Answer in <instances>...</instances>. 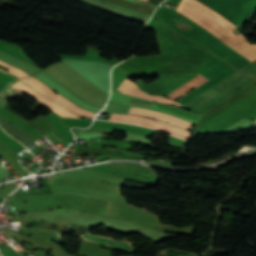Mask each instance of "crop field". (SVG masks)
Returning <instances> with one entry per match:
<instances>
[{"label": "crop field", "mask_w": 256, "mask_h": 256, "mask_svg": "<svg viewBox=\"0 0 256 256\" xmlns=\"http://www.w3.org/2000/svg\"><path fill=\"white\" fill-rule=\"evenodd\" d=\"M117 87H119V86H117ZM116 88H114L113 91L120 90V91H122V93L130 94V95H133V96H136L139 98H143V99H147V100H151V101H155V102H159V103H166V104H170V105H174V106H178V107L182 106L172 100L163 98L161 96H150V95L144 93L143 91L139 90L135 84H133L131 81H129L127 79L124 80V82L121 84V86L119 88H117V90H115ZM120 91H118V92H120Z\"/></svg>", "instance_id": "f4fd0767"}, {"label": "crop field", "mask_w": 256, "mask_h": 256, "mask_svg": "<svg viewBox=\"0 0 256 256\" xmlns=\"http://www.w3.org/2000/svg\"><path fill=\"white\" fill-rule=\"evenodd\" d=\"M66 62L84 74L98 86L109 92L110 69L112 68L111 65L98 62Z\"/></svg>", "instance_id": "ac0d7876"}, {"label": "crop field", "mask_w": 256, "mask_h": 256, "mask_svg": "<svg viewBox=\"0 0 256 256\" xmlns=\"http://www.w3.org/2000/svg\"><path fill=\"white\" fill-rule=\"evenodd\" d=\"M128 114H133V115H137V116H142V117H146V118L164 121V122L170 123L174 126H177L179 128L185 129V130H188L193 125V123L178 119L176 117H173V116H170V115H167L164 113L136 109L133 107H131Z\"/></svg>", "instance_id": "412701ff"}, {"label": "crop field", "mask_w": 256, "mask_h": 256, "mask_svg": "<svg viewBox=\"0 0 256 256\" xmlns=\"http://www.w3.org/2000/svg\"><path fill=\"white\" fill-rule=\"evenodd\" d=\"M107 121L126 122V123L146 126V127H150V128H153V129L168 132L173 136L184 138V139L188 138V136L183 135V134L178 133V132H175V131L170 130L168 128H171V129L177 130L179 132L190 135V132L185 131V130H181V129H179L177 127H174L170 124L163 123V122L156 121V120H150V119H146V118L131 116V115H122V114L112 113V117L110 119H108ZM166 127H168V128H166Z\"/></svg>", "instance_id": "34b2d1b8"}, {"label": "crop field", "mask_w": 256, "mask_h": 256, "mask_svg": "<svg viewBox=\"0 0 256 256\" xmlns=\"http://www.w3.org/2000/svg\"><path fill=\"white\" fill-rule=\"evenodd\" d=\"M87 146H90V145H87Z\"/></svg>", "instance_id": "e52e79f7"}, {"label": "crop field", "mask_w": 256, "mask_h": 256, "mask_svg": "<svg viewBox=\"0 0 256 256\" xmlns=\"http://www.w3.org/2000/svg\"><path fill=\"white\" fill-rule=\"evenodd\" d=\"M206 9L188 0H182L176 11L192 19L210 33H215L248 60L254 61L256 59V44L251 45L245 39L243 33H239L236 30L238 25Z\"/></svg>", "instance_id": "8a807250"}, {"label": "crop field", "mask_w": 256, "mask_h": 256, "mask_svg": "<svg viewBox=\"0 0 256 256\" xmlns=\"http://www.w3.org/2000/svg\"><path fill=\"white\" fill-rule=\"evenodd\" d=\"M206 81L208 80L205 79L203 76L198 75L193 79H191L190 81H188L187 83H185L183 86H181L177 90H175L174 92L168 94L167 97L175 100Z\"/></svg>", "instance_id": "dd49c442"}]
</instances>
